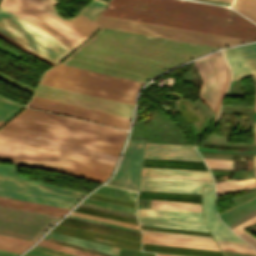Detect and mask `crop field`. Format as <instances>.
Wrapping results in <instances>:
<instances>
[{
    "label": "crop field",
    "mask_w": 256,
    "mask_h": 256,
    "mask_svg": "<svg viewBox=\"0 0 256 256\" xmlns=\"http://www.w3.org/2000/svg\"><path fill=\"white\" fill-rule=\"evenodd\" d=\"M255 112H256V103H255Z\"/></svg>",
    "instance_id": "obj_64"
},
{
    "label": "crop field",
    "mask_w": 256,
    "mask_h": 256,
    "mask_svg": "<svg viewBox=\"0 0 256 256\" xmlns=\"http://www.w3.org/2000/svg\"><path fill=\"white\" fill-rule=\"evenodd\" d=\"M255 132H256V122H254Z\"/></svg>",
    "instance_id": "obj_59"
},
{
    "label": "crop field",
    "mask_w": 256,
    "mask_h": 256,
    "mask_svg": "<svg viewBox=\"0 0 256 256\" xmlns=\"http://www.w3.org/2000/svg\"><path fill=\"white\" fill-rule=\"evenodd\" d=\"M215 192L213 188H203V214L204 222L214 239L243 242L229 231L219 220L214 209Z\"/></svg>",
    "instance_id": "obj_19"
},
{
    "label": "crop field",
    "mask_w": 256,
    "mask_h": 256,
    "mask_svg": "<svg viewBox=\"0 0 256 256\" xmlns=\"http://www.w3.org/2000/svg\"><path fill=\"white\" fill-rule=\"evenodd\" d=\"M0 138L114 165L116 156L0 129Z\"/></svg>",
    "instance_id": "obj_14"
},
{
    "label": "crop field",
    "mask_w": 256,
    "mask_h": 256,
    "mask_svg": "<svg viewBox=\"0 0 256 256\" xmlns=\"http://www.w3.org/2000/svg\"><path fill=\"white\" fill-rule=\"evenodd\" d=\"M46 237H50V238L58 239L61 241L69 242L72 244L95 249L98 251L110 253V254H113L116 256H117L118 250H119L117 248H113V247H109V246H105V245H101V244H97V243H93V242H89V241H84V240H80V239H76V238H72V237H68V236H64V235H60V234H56V233H52V232H49L46 235Z\"/></svg>",
    "instance_id": "obj_28"
},
{
    "label": "crop field",
    "mask_w": 256,
    "mask_h": 256,
    "mask_svg": "<svg viewBox=\"0 0 256 256\" xmlns=\"http://www.w3.org/2000/svg\"><path fill=\"white\" fill-rule=\"evenodd\" d=\"M0 32L55 64L73 49L2 8Z\"/></svg>",
    "instance_id": "obj_6"
},
{
    "label": "crop field",
    "mask_w": 256,
    "mask_h": 256,
    "mask_svg": "<svg viewBox=\"0 0 256 256\" xmlns=\"http://www.w3.org/2000/svg\"><path fill=\"white\" fill-rule=\"evenodd\" d=\"M141 175L212 180L209 172L143 167Z\"/></svg>",
    "instance_id": "obj_24"
},
{
    "label": "crop field",
    "mask_w": 256,
    "mask_h": 256,
    "mask_svg": "<svg viewBox=\"0 0 256 256\" xmlns=\"http://www.w3.org/2000/svg\"><path fill=\"white\" fill-rule=\"evenodd\" d=\"M59 218V216L0 206V234L37 241Z\"/></svg>",
    "instance_id": "obj_10"
},
{
    "label": "crop field",
    "mask_w": 256,
    "mask_h": 256,
    "mask_svg": "<svg viewBox=\"0 0 256 256\" xmlns=\"http://www.w3.org/2000/svg\"><path fill=\"white\" fill-rule=\"evenodd\" d=\"M17 168L0 165V196L71 209L85 195L30 182L15 173Z\"/></svg>",
    "instance_id": "obj_5"
},
{
    "label": "crop field",
    "mask_w": 256,
    "mask_h": 256,
    "mask_svg": "<svg viewBox=\"0 0 256 256\" xmlns=\"http://www.w3.org/2000/svg\"><path fill=\"white\" fill-rule=\"evenodd\" d=\"M101 15L256 40V25L220 6L186 0H111Z\"/></svg>",
    "instance_id": "obj_2"
},
{
    "label": "crop field",
    "mask_w": 256,
    "mask_h": 256,
    "mask_svg": "<svg viewBox=\"0 0 256 256\" xmlns=\"http://www.w3.org/2000/svg\"><path fill=\"white\" fill-rule=\"evenodd\" d=\"M142 250L193 256H223L221 252L143 243Z\"/></svg>",
    "instance_id": "obj_27"
},
{
    "label": "crop field",
    "mask_w": 256,
    "mask_h": 256,
    "mask_svg": "<svg viewBox=\"0 0 256 256\" xmlns=\"http://www.w3.org/2000/svg\"><path fill=\"white\" fill-rule=\"evenodd\" d=\"M0 38L5 40V41H7V42H9V43H11L12 45H14V46H16L18 48L26 51L27 53H29V54L39 58L40 60H42V61H44V62H46V63H48V64H50L52 66L55 65V64L51 63L50 61L44 59L43 57L39 56L38 54H36V53L32 52L31 50L27 49L26 47L22 46L21 44H19V43L15 42L14 40L10 39L9 37L5 36L2 33H0Z\"/></svg>",
    "instance_id": "obj_44"
},
{
    "label": "crop field",
    "mask_w": 256,
    "mask_h": 256,
    "mask_svg": "<svg viewBox=\"0 0 256 256\" xmlns=\"http://www.w3.org/2000/svg\"><path fill=\"white\" fill-rule=\"evenodd\" d=\"M0 159L10 161L11 163H14V164L51 170V171H55V172H59V173L87 179V180H92V181H96V182H100V183H103L104 180L106 179L105 177H101V176H97V175H92V174H88V173H84V172H79V171H75V170H71V169H66V168H62V167H58V166H53V165L40 163V162L27 160V159H23V158H19V157H14V156L1 154V153H0Z\"/></svg>",
    "instance_id": "obj_22"
},
{
    "label": "crop field",
    "mask_w": 256,
    "mask_h": 256,
    "mask_svg": "<svg viewBox=\"0 0 256 256\" xmlns=\"http://www.w3.org/2000/svg\"><path fill=\"white\" fill-rule=\"evenodd\" d=\"M83 202L88 203V204H93V205H97V206H102V207H106V208H111V209L120 210V211L135 214V209L129 208V207L115 205V204L102 202V201H98V200H93V199H89V198H86Z\"/></svg>",
    "instance_id": "obj_38"
},
{
    "label": "crop field",
    "mask_w": 256,
    "mask_h": 256,
    "mask_svg": "<svg viewBox=\"0 0 256 256\" xmlns=\"http://www.w3.org/2000/svg\"><path fill=\"white\" fill-rule=\"evenodd\" d=\"M194 64L203 80L199 97L214 110L226 81L225 62L221 53L217 52L194 61Z\"/></svg>",
    "instance_id": "obj_12"
},
{
    "label": "crop field",
    "mask_w": 256,
    "mask_h": 256,
    "mask_svg": "<svg viewBox=\"0 0 256 256\" xmlns=\"http://www.w3.org/2000/svg\"><path fill=\"white\" fill-rule=\"evenodd\" d=\"M143 161L165 162V163L204 164V163H196V162L166 161V160H151V159H144ZM165 163H149V162H143V164H151V165H178V166H192V167H203V168H206L205 165L165 164ZM151 165H143V166L207 171V169H202V168L177 167V166H151Z\"/></svg>",
    "instance_id": "obj_33"
},
{
    "label": "crop field",
    "mask_w": 256,
    "mask_h": 256,
    "mask_svg": "<svg viewBox=\"0 0 256 256\" xmlns=\"http://www.w3.org/2000/svg\"><path fill=\"white\" fill-rule=\"evenodd\" d=\"M78 207H79V208L88 209V210H93V211L103 212V211L94 210V209H90V208H85V207H81V206H78ZM79 208H76V209H79ZM76 209H74V210H75V211H79V212L88 211V210L80 211V210H83V209H80V210H76ZM93 211H89V212H93ZM98 212H93V213H98ZM84 213H88V212H84ZM93 213H88V214L97 215V216H101V217H106V218H110V219L119 220V221L128 222V223H132V224H136V225H138L137 223L129 222V221H134V220H136V219H134V218H130V217H125V216L117 215V216H121V217L129 218V219H134V220L125 219V220H129V221H125V220H120V219H124V218H120V217H116V216L108 215V214H112V213L103 214V213H107V212H103V213H98V214L107 215V216H111V217H116V218H120V219L111 218V217L102 216V215L93 214ZM113 215H116V214H113ZM135 222H137V221H135Z\"/></svg>",
    "instance_id": "obj_45"
},
{
    "label": "crop field",
    "mask_w": 256,
    "mask_h": 256,
    "mask_svg": "<svg viewBox=\"0 0 256 256\" xmlns=\"http://www.w3.org/2000/svg\"><path fill=\"white\" fill-rule=\"evenodd\" d=\"M0 152L108 177L113 166L0 139Z\"/></svg>",
    "instance_id": "obj_9"
},
{
    "label": "crop field",
    "mask_w": 256,
    "mask_h": 256,
    "mask_svg": "<svg viewBox=\"0 0 256 256\" xmlns=\"http://www.w3.org/2000/svg\"><path fill=\"white\" fill-rule=\"evenodd\" d=\"M105 6L102 1L92 0L80 13L92 20Z\"/></svg>",
    "instance_id": "obj_35"
},
{
    "label": "crop field",
    "mask_w": 256,
    "mask_h": 256,
    "mask_svg": "<svg viewBox=\"0 0 256 256\" xmlns=\"http://www.w3.org/2000/svg\"><path fill=\"white\" fill-rule=\"evenodd\" d=\"M38 245L50 247V248H53V249H57V250H61V251H64V252L76 254V255H79V256H96V255H93V254H89V253H86V252L78 251V250H75V249H71V248H68V247H64V246L57 245V244H54V243H50V242L43 241V240H41L38 243Z\"/></svg>",
    "instance_id": "obj_41"
},
{
    "label": "crop field",
    "mask_w": 256,
    "mask_h": 256,
    "mask_svg": "<svg viewBox=\"0 0 256 256\" xmlns=\"http://www.w3.org/2000/svg\"><path fill=\"white\" fill-rule=\"evenodd\" d=\"M96 192H101L105 194L115 195L119 197L129 198L135 200L136 192L123 190L119 188L109 187V186H103L96 190Z\"/></svg>",
    "instance_id": "obj_37"
},
{
    "label": "crop field",
    "mask_w": 256,
    "mask_h": 256,
    "mask_svg": "<svg viewBox=\"0 0 256 256\" xmlns=\"http://www.w3.org/2000/svg\"><path fill=\"white\" fill-rule=\"evenodd\" d=\"M197 1L209 2L214 4L226 5V6L230 5L229 2H223V1H217V0H197Z\"/></svg>",
    "instance_id": "obj_53"
},
{
    "label": "crop field",
    "mask_w": 256,
    "mask_h": 256,
    "mask_svg": "<svg viewBox=\"0 0 256 256\" xmlns=\"http://www.w3.org/2000/svg\"><path fill=\"white\" fill-rule=\"evenodd\" d=\"M231 8L256 23V0H235Z\"/></svg>",
    "instance_id": "obj_31"
},
{
    "label": "crop field",
    "mask_w": 256,
    "mask_h": 256,
    "mask_svg": "<svg viewBox=\"0 0 256 256\" xmlns=\"http://www.w3.org/2000/svg\"><path fill=\"white\" fill-rule=\"evenodd\" d=\"M28 1H30L31 3L42 8L43 10L47 11L48 13L59 18L60 20L64 21L65 23L71 25L72 27L76 28L77 30L83 32L88 36L92 34L96 29L99 28V25L95 24L94 22L84 17L80 13L72 19H68V20L62 19L56 14L54 6L59 2L55 0H28Z\"/></svg>",
    "instance_id": "obj_21"
},
{
    "label": "crop field",
    "mask_w": 256,
    "mask_h": 256,
    "mask_svg": "<svg viewBox=\"0 0 256 256\" xmlns=\"http://www.w3.org/2000/svg\"><path fill=\"white\" fill-rule=\"evenodd\" d=\"M203 159L205 160L208 167L232 169V160L207 159V158H203Z\"/></svg>",
    "instance_id": "obj_43"
},
{
    "label": "crop field",
    "mask_w": 256,
    "mask_h": 256,
    "mask_svg": "<svg viewBox=\"0 0 256 256\" xmlns=\"http://www.w3.org/2000/svg\"><path fill=\"white\" fill-rule=\"evenodd\" d=\"M150 208L201 213L200 204L151 200Z\"/></svg>",
    "instance_id": "obj_30"
},
{
    "label": "crop field",
    "mask_w": 256,
    "mask_h": 256,
    "mask_svg": "<svg viewBox=\"0 0 256 256\" xmlns=\"http://www.w3.org/2000/svg\"><path fill=\"white\" fill-rule=\"evenodd\" d=\"M0 205L63 216L68 209L0 197Z\"/></svg>",
    "instance_id": "obj_26"
},
{
    "label": "crop field",
    "mask_w": 256,
    "mask_h": 256,
    "mask_svg": "<svg viewBox=\"0 0 256 256\" xmlns=\"http://www.w3.org/2000/svg\"><path fill=\"white\" fill-rule=\"evenodd\" d=\"M27 254H31V255H35V256H52V255L44 254V253L33 251V250L27 252Z\"/></svg>",
    "instance_id": "obj_54"
},
{
    "label": "crop field",
    "mask_w": 256,
    "mask_h": 256,
    "mask_svg": "<svg viewBox=\"0 0 256 256\" xmlns=\"http://www.w3.org/2000/svg\"><path fill=\"white\" fill-rule=\"evenodd\" d=\"M232 78L253 76L256 82V43L223 50Z\"/></svg>",
    "instance_id": "obj_16"
},
{
    "label": "crop field",
    "mask_w": 256,
    "mask_h": 256,
    "mask_svg": "<svg viewBox=\"0 0 256 256\" xmlns=\"http://www.w3.org/2000/svg\"><path fill=\"white\" fill-rule=\"evenodd\" d=\"M0 7L73 48L88 37L26 0H2Z\"/></svg>",
    "instance_id": "obj_8"
},
{
    "label": "crop field",
    "mask_w": 256,
    "mask_h": 256,
    "mask_svg": "<svg viewBox=\"0 0 256 256\" xmlns=\"http://www.w3.org/2000/svg\"><path fill=\"white\" fill-rule=\"evenodd\" d=\"M217 196L229 194L244 189L256 187V179L242 180V181H225L216 183Z\"/></svg>",
    "instance_id": "obj_29"
},
{
    "label": "crop field",
    "mask_w": 256,
    "mask_h": 256,
    "mask_svg": "<svg viewBox=\"0 0 256 256\" xmlns=\"http://www.w3.org/2000/svg\"><path fill=\"white\" fill-rule=\"evenodd\" d=\"M223 1H229V2H232V0H223Z\"/></svg>",
    "instance_id": "obj_61"
},
{
    "label": "crop field",
    "mask_w": 256,
    "mask_h": 256,
    "mask_svg": "<svg viewBox=\"0 0 256 256\" xmlns=\"http://www.w3.org/2000/svg\"><path fill=\"white\" fill-rule=\"evenodd\" d=\"M141 228H145V227H141ZM154 228V227H153ZM153 228H147V229H153ZM146 229V230H147ZM161 229H164V228H161ZM161 229H158V230H161ZM169 230H174V229H169ZM168 230V231H169ZM157 231V230H156ZM168 231H166V232H168ZM179 231H184V230H179ZM190 232H194V231H190ZM176 233H179V232H176ZM204 233V232H203ZM186 234H189V233H186ZM200 234H202V233H200ZM200 234H196V235H200ZM208 235H210V234H208ZM208 235H206V236H208Z\"/></svg>",
    "instance_id": "obj_56"
},
{
    "label": "crop field",
    "mask_w": 256,
    "mask_h": 256,
    "mask_svg": "<svg viewBox=\"0 0 256 256\" xmlns=\"http://www.w3.org/2000/svg\"><path fill=\"white\" fill-rule=\"evenodd\" d=\"M219 247L221 248V250L237 251V252H245V253L256 254L254 250H249V249H240V248L223 247V246H219Z\"/></svg>",
    "instance_id": "obj_51"
},
{
    "label": "crop field",
    "mask_w": 256,
    "mask_h": 256,
    "mask_svg": "<svg viewBox=\"0 0 256 256\" xmlns=\"http://www.w3.org/2000/svg\"><path fill=\"white\" fill-rule=\"evenodd\" d=\"M217 47L103 29L61 64L144 83Z\"/></svg>",
    "instance_id": "obj_1"
},
{
    "label": "crop field",
    "mask_w": 256,
    "mask_h": 256,
    "mask_svg": "<svg viewBox=\"0 0 256 256\" xmlns=\"http://www.w3.org/2000/svg\"><path fill=\"white\" fill-rule=\"evenodd\" d=\"M70 214L71 215H75V216H80V217H84V218H89V219H93V220H98V221H102V222H107V223H111V224H116V225L125 226V227H129V228H134V229L140 230L139 227L136 226V225L127 224V223H123V222H119V221L105 219V218H101V217H97V216H92V215H88V214H83V213H79V212H75V211H72Z\"/></svg>",
    "instance_id": "obj_40"
},
{
    "label": "crop field",
    "mask_w": 256,
    "mask_h": 256,
    "mask_svg": "<svg viewBox=\"0 0 256 256\" xmlns=\"http://www.w3.org/2000/svg\"><path fill=\"white\" fill-rule=\"evenodd\" d=\"M255 144H256V133H255Z\"/></svg>",
    "instance_id": "obj_63"
},
{
    "label": "crop field",
    "mask_w": 256,
    "mask_h": 256,
    "mask_svg": "<svg viewBox=\"0 0 256 256\" xmlns=\"http://www.w3.org/2000/svg\"><path fill=\"white\" fill-rule=\"evenodd\" d=\"M141 231L143 234H148V235L170 236V237L214 242L212 237H206V236H196V235H186V234H176V233H166V232H156V231H146V230H141Z\"/></svg>",
    "instance_id": "obj_36"
},
{
    "label": "crop field",
    "mask_w": 256,
    "mask_h": 256,
    "mask_svg": "<svg viewBox=\"0 0 256 256\" xmlns=\"http://www.w3.org/2000/svg\"><path fill=\"white\" fill-rule=\"evenodd\" d=\"M67 221V220H66ZM66 221H61V222H64V223H68V224H73V225H78V226H82V227H87V226H83V225H79V224H74V223H70V222H66ZM64 223H59L60 225H65V226H69V227H74V228H79V229H83V230H88V231H93V232H97V233H102V234H107V235H111V236H116V237H121V238H125V239H130V240H135V241H139V242H141L140 240H141V238H139V237H134V236H129V235H124V234H120V233H115V232H110V231H105V230H101V231H105V232H110V233H115V234H119V235H124V236H129V237H133V238H137V239H140V240H137V239H133V238H129V237H124V236H119V235H115V234H110V233H105V232H101V231H96V230H100V229H96V228H92V227H87V228H92V229H96V230H92V229H87V228H82V227H78V226H73V225H68V224H64ZM111 230V229H110ZM116 231V230H115ZM119 232H121V231H119ZM123 233H126V232H123ZM128 234H130V233H128ZM132 235H135V234H132ZM139 236V235H138Z\"/></svg>",
    "instance_id": "obj_39"
},
{
    "label": "crop field",
    "mask_w": 256,
    "mask_h": 256,
    "mask_svg": "<svg viewBox=\"0 0 256 256\" xmlns=\"http://www.w3.org/2000/svg\"><path fill=\"white\" fill-rule=\"evenodd\" d=\"M145 140H129L120 166L109 185L137 190Z\"/></svg>",
    "instance_id": "obj_15"
},
{
    "label": "crop field",
    "mask_w": 256,
    "mask_h": 256,
    "mask_svg": "<svg viewBox=\"0 0 256 256\" xmlns=\"http://www.w3.org/2000/svg\"><path fill=\"white\" fill-rule=\"evenodd\" d=\"M29 104L38 106V107L55 110V111L68 113V114H73V115H77V116H81V117H86V118H90V119H94V120H99V121H103V122H107V123H111V124H116V125H120V126H124V127L127 126V123L129 120V119L120 118V117H116V116H112V115H107V114L90 111V110H86V109H82V108H77V107H73V106H69V105H65V104L47 101V100H43V99H39V98H35V97L32 98V100ZM30 105H27V106L37 108V109L46 110V111H51V110H47V109H43V108L30 106ZM55 111H51V112H55ZM60 112H55V113L64 114V113H60ZM68 114H64V115H68ZM73 115H68V116H72V117H76V118H80V119H84V120H88V121H92V122H97V123H101V124L111 125V124L94 121V120H90V119H86V118H81V117H77V116H73ZM116 125H111V126L120 127V126H116ZM124 127H120V128H124ZM124 129H127V128H124Z\"/></svg>",
    "instance_id": "obj_18"
},
{
    "label": "crop field",
    "mask_w": 256,
    "mask_h": 256,
    "mask_svg": "<svg viewBox=\"0 0 256 256\" xmlns=\"http://www.w3.org/2000/svg\"><path fill=\"white\" fill-rule=\"evenodd\" d=\"M254 174H255V176H256V169H254Z\"/></svg>",
    "instance_id": "obj_62"
},
{
    "label": "crop field",
    "mask_w": 256,
    "mask_h": 256,
    "mask_svg": "<svg viewBox=\"0 0 256 256\" xmlns=\"http://www.w3.org/2000/svg\"><path fill=\"white\" fill-rule=\"evenodd\" d=\"M139 192L152 193V196H158V197H176V198H196V199H200V195H193V194H177V193L146 192V191H139ZM138 195L151 196V194H144V193H138ZM137 198L154 199L155 197H141V196H138ZM176 198H157L156 197L155 199L175 200V201H185V202L200 203V200H195V199H176Z\"/></svg>",
    "instance_id": "obj_32"
},
{
    "label": "crop field",
    "mask_w": 256,
    "mask_h": 256,
    "mask_svg": "<svg viewBox=\"0 0 256 256\" xmlns=\"http://www.w3.org/2000/svg\"><path fill=\"white\" fill-rule=\"evenodd\" d=\"M40 83L134 105L141 84L61 64L46 71Z\"/></svg>",
    "instance_id": "obj_4"
},
{
    "label": "crop field",
    "mask_w": 256,
    "mask_h": 256,
    "mask_svg": "<svg viewBox=\"0 0 256 256\" xmlns=\"http://www.w3.org/2000/svg\"><path fill=\"white\" fill-rule=\"evenodd\" d=\"M216 242L218 243V245H223V246H233V247L253 249L248 244H243V243H235V242H227V241H219V240H216Z\"/></svg>",
    "instance_id": "obj_47"
},
{
    "label": "crop field",
    "mask_w": 256,
    "mask_h": 256,
    "mask_svg": "<svg viewBox=\"0 0 256 256\" xmlns=\"http://www.w3.org/2000/svg\"><path fill=\"white\" fill-rule=\"evenodd\" d=\"M143 242L219 251L215 243L170 237L143 235Z\"/></svg>",
    "instance_id": "obj_23"
},
{
    "label": "crop field",
    "mask_w": 256,
    "mask_h": 256,
    "mask_svg": "<svg viewBox=\"0 0 256 256\" xmlns=\"http://www.w3.org/2000/svg\"><path fill=\"white\" fill-rule=\"evenodd\" d=\"M94 22L104 28L165 37L219 47L230 46L239 43L251 42L228 37L210 35L205 33L187 31L182 29L170 28L165 26L147 24L142 22L124 20L119 18L98 15Z\"/></svg>",
    "instance_id": "obj_7"
},
{
    "label": "crop field",
    "mask_w": 256,
    "mask_h": 256,
    "mask_svg": "<svg viewBox=\"0 0 256 256\" xmlns=\"http://www.w3.org/2000/svg\"><path fill=\"white\" fill-rule=\"evenodd\" d=\"M238 236H240L256 248V238L252 237L251 234L247 233L246 231H242L241 233H239Z\"/></svg>",
    "instance_id": "obj_49"
},
{
    "label": "crop field",
    "mask_w": 256,
    "mask_h": 256,
    "mask_svg": "<svg viewBox=\"0 0 256 256\" xmlns=\"http://www.w3.org/2000/svg\"><path fill=\"white\" fill-rule=\"evenodd\" d=\"M213 181L141 176L139 190L201 194Z\"/></svg>",
    "instance_id": "obj_17"
},
{
    "label": "crop field",
    "mask_w": 256,
    "mask_h": 256,
    "mask_svg": "<svg viewBox=\"0 0 256 256\" xmlns=\"http://www.w3.org/2000/svg\"><path fill=\"white\" fill-rule=\"evenodd\" d=\"M3 129L119 155L126 131L26 108Z\"/></svg>",
    "instance_id": "obj_3"
},
{
    "label": "crop field",
    "mask_w": 256,
    "mask_h": 256,
    "mask_svg": "<svg viewBox=\"0 0 256 256\" xmlns=\"http://www.w3.org/2000/svg\"><path fill=\"white\" fill-rule=\"evenodd\" d=\"M157 256H171V255H161V254H157Z\"/></svg>",
    "instance_id": "obj_58"
},
{
    "label": "crop field",
    "mask_w": 256,
    "mask_h": 256,
    "mask_svg": "<svg viewBox=\"0 0 256 256\" xmlns=\"http://www.w3.org/2000/svg\"><path fill=\"white\" fill-rule=\"evenodd\" d=\"M90 198H95V199H100V200H105V201H111V202H116V203H121V204H126V205H131V206H135V205H133V204H129V203H124V202H120V201H115V200H111V199H106V198H102V197H97V196H93V195H90L89 196ZM115 203V204H116ZM120 204V205H121ZM126 205H124V206H126ZM131 206H129V207H131ZM134 208V207H133Z\"/></svg>",
    "instance_id": "obj_52"
},
{
    "label": "crop field",
    "mask_w": 256,
    "mask_h": 256,
    "mask_svg": "<svg viewBox=\"0 0 256 256\" xmlns=\"http://www.w3.org/2000/svg\"><path fill=\"white\" fill-rule=\"evenodd\" d=\"M35 97L130 118L133 106L39 84Z\"/></svg>",
    "instance_id": "obj_11"
},
{
    "label": "crop field",
    "mask_w": 256,
    "mask_h": 256,
    "mask_svg": "<svg viewBox=\"0 0 256 256\" xmlns=\"http://www.w3.org/2000/svg\"><path fill=\"white\" fill-rule=\"evenodd\" d=\"M23 256H25V255H23Z\"/></svg>",
    "instance_id": "obj_65"
},
{
    "label": "crop field",
    "mask_w": 256,
    "mask_h": 256,
    "mask_svg": "<svg viewBox=\"0 0 256 256\" xmlns=\"http://www.w3.org/2000/svg\"><path fill=\"white\" fill-rule=\"evenodd\" d=\"M254 121H256V113H255V116H254Z\"/></svg>",
    "instance_id": "obj_60"
},
{
    "label": "crop field",
    "mask_w": 256,
    "mask_h": 256,
    "mask_svg": "<svg viewBox=\"0 0 256 256\" xmlns=\"http://www.w3.org/2000/svg\"><path fill=\"white\" fill-rule=\"evenodd\" d=\"M140 224L208 232L202 214L159 209H137Z\"/></svg>",
    "instance_id": "obj_13"
},
{
    "label": "crop field",
    "mask_w": 256,
    "mask_h": 256,
    "mask_svg": "<svg viewBox=\"0 0 256 256\" xmlns=\"http://www.w3.org/2000/svg\"><path fill=\"white\" fill-rule=\"evenodd\" d=\"M254 168H256V156H255Z\"/></svg>",
    "instance_id": "obj_57"
},
{
    "label": "crop field",
    "mask_w": 256,
    "mask_h": 256,
    "mask_svg": "<svg viewBox=\"0 0 256 256\" xmlns=\"http://www.w3.org/2000/svg\"><path fill=\"white\" fill-rule=\"evenodd\" d=\"M10 101V100H9ZM0 97V122L3 123L23 107Z\"/></svg>",
    "instance_id": "obj_34"
},
{
    "label": "crop field",
    "mask_w": 256,
    "mask_h": 256,
    "mask_svg": "<svg viewBox=\"0 0 256 256\" xmlns=\"http://www.w3.org/2000/svg\"><path fill=\"white\" fill-rule=\"evenodd\" d=\"M28 247H29L28 245L17 244V243L0 240V249L2 250L21 253L22 251L26 250Z\"/></svg>",
    "instance_id": "obj_42"
},
{
    "label": "crop field",
    "mask_w": 256,
    "mask_h": 256,
    "mask_svg": "<svg viewBox=\"0 0 256 256\" xmlns=\"http://www.w3.org/2000/svg\"><path fill=\"white\" fill-rule=\"evenodd\" d=\"M33 249H37V250L44 251V252H47V253H51V254L58 255V256H75V255H72V254L64 253V252H61V251L49 249V248L38 246V245L33 247Z\"/></svg>",
    "instance_id": "obj_46"
},
{
    "label": "crop field",
    "mask_w": 256,
    "mask_h": 256,
    "mask_svg": "<svg viewBox=\"0 0 256 256\" xmlns=\"http://www.w3.org/2000/svg\"><path fill=\"white\" fill-rule=\"evenodd\" d=\"M17 255H18V253H12V252L0 250V256H17Z\"/></svg>",
    "instance_id": "obj_55"
},
{
    "label": "crop field",
    "mask_w": 256,
    "mask_h": 256,
    "mask_svg": "<svg viewBox=\"0 0 256 256\" xmlns=\"http://www.w3.org/2000/svg\"><path fill=\"white\" fill-rule=\"evenodd\" d=\"M144 158L176 159L202 162L194 146L146 143Z\"/></svg>",
    "instance_id": "obj_20"
},
{
    "label": "crop field",
    "mask_w": 256,
    "mask_h": 256,
    "mask_svg": "<svg viewBox=\"0 0 256 256\" xmlns=\"http://www.w3.org/2000/svg\"><path fill=\"white\" fill-rule=\"evenodd\" d=\"M256 224V216L251 218L250 220L242 223L238 227L234 228L233 231H235L237 234L242 231L243 229L247 228L250 225Z\"/></svg>",
    "instance_id": "obj_48"
},
{
    "label": "crop field",
    "mask_w": 256,
    "mask_h": 256,
    "mask_svg": "<svg viewBox=\"0 0 256 256\" xmlns=\"http://www.w3.org/2000/svg\"><path fill=\"white\" fill-rule=\"evenodd\" d=\"M0 239L7 240V241L18 242V243H23V244H29V245L34 243L33 241H27V240L11 238V237L1 236V235H0Z\"/></svg>",
    "instance_id": "obj_50"
},
{
    "label": "crop field",
    "mask_w": 256,
    "mask_h": 256,
    "mask_svg": "<svg viewBox=\"0 0 256 256\" xmlns=\"http://www.w3.org/2000/svg\"><path fill=\"white\" fill-rule=\"evenodd\" d=\"M55 229H59V230H63V231H67V232H71V233H75V234H79V235H83V236H87V237H93V234L92 232H88V231H83V230H78V229H74V228H69V227H64V226H60V225H57L56 227H54ZM54 230V229H53ZM51 230L52 232H56V233H60V234H64V235H68V236H73V235H69V234H65V233H61V232H57V231H53ZM94 235L96 236H100V237H104V238H108V239H112V240H116V241H119V243L117 244V247L118 248H126V249H136V250H140V246H141V243L139 242H134V241H130V240H125V239H120V238H116V237H111V236H106V235H102V234H97L95 233ZM78 236V235H77ZM77 236H73V237H77ZM94 236L95 238H99V239H103V240H107V241H111V242H115L117 243L116 241H112V240H108V239H104V238H100V237H96ZM82 237V236H81ZM81 237H77V238H81ZM86 238V237H85ZM85 238H81V239H85ZM90 239V238H89ZM89 239H85V240H89ZM91 241V240H89ZM99 243V242H98ZM104 244V243H102ZM106 245H109V244H106ZM110 246H114V245H110ZM116 247V246H114Z\"/></svg>",
    "instance_id": "obj_25"
}]
</instances>
